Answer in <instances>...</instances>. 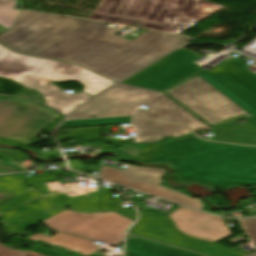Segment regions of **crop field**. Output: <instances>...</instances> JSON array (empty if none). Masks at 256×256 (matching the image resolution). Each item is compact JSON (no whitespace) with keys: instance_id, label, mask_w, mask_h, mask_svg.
<instances>
[{"instance_id":"1","label":"crop field","mask_w":256,"mask_h":256,"mask_svg":"<svg viewBox=\"0 0 256 256\" xmlns=\"http://www.w3.org/2000/svg\"><path fill=\"white\" fill-rule=\"evenodd\" d=\"M104 25L23 10L0 35V44L13 52L78 64L118 82L188 41L152 31L129 41L113 34L118 29Z\"/></svg>"},{"instance_id":"2","label":"crop field","mask_w":256,"mask_h":256,"mask_svg":"<svg viewBox=\"0 0 256 256\" xmlns=\"http://www.w3.org/2000/svg\"><path fill=\"white\" fill-rule=\"evenodd\" d=\"M151 160L178 167L183 177L180 181L208 182L217 187L256 184V148L181 138L166 142Z\"/></svg>"},{"instance_id":"3","label":"crop field","mask_w":256,"mask_h":256,"mask_svg":"<svg viewBox=\"0 0 256 256\" xmlns=\"http://www.w3.org/2000/svg\"><path fill=\"white\" fill-rule=\"evenodd\" d=\"M0 77L37 90L46 100L44 104L68 115L75 107L90 98L84 93L66 94L51 81H79L84 92L95 95L115 83L81 66L13 53L0 45Z\"/></svg>"},{"instance_id":"4","label":"crop field","mask_w":256,"mask_h":256,"mask_svg":"<svg viewBox=\"0 0 256 256\" xmlns=\"http://www.w3.org/2000/svg\"><path fill=\"white\" fill-rule=\"evenodd\" d=\"M165 93L212 129L240 118L256 125V109L204 70Z\"/></svg>"},{"instance_id":"5","label":"crop field","mask_w":256,"mask_h":256,"mask_svg":"<svg viewBox=\"0 0 256 256\" xmlns=\"http://www.w3.org/2000/svg\"><path fill=\"white\" fill-rule=\"evenodd\" d=\"M58 116L37 102L0 96V139L30 143Z\"/></svg>"},{"instance_id":"6","label":"crop field","mask_w":256,"mask_h":256,"mask_svg":"<svg viewBox=\"0 0 256 256\" xmlns=\"http://www.w3.org/2000/svg\"><path fill=\"white\" fill-rule=\"evenodd\" d=\"M199 58L185 49H179L122 83L162 92L200 70L193 63Z\"/></svg>"},{"instance_id":"7","label":"crop field","mask_w":256,"mask_h":256,"mask_svg":"<svg viewBox=\"0 0 256 256\" xmlns=\"http://www.w3.org/2000/svg\"><path fill=\"white\" fill-rule=\"evenodd\" d=\"M129 233L211 256H245L248 254L186 237L176 231L173 223L164 216L140 213L139 221L131 227Z\"/></svg>"},{"instance_id":"8","label":"crop field","mask_w":256,"mask_h":256,"mask_svg":"<svg viewBox=\"0 0 256 256\" xmlns=\"http://www.w3.org/2000/svg\"><path fill=\"white\" fill-rule=\"evenodd\" d=\"M159 93L160 92L119 83L83 105L79 110L74 112L69 119L128 115L139 104Z\"/></svg>"},{"instance_id":"9","label":"crop field","mask_w":256,"mask_h":256,"mask_svg":"<svg viewBox=\"0 0 256 256\" xmlns=\"http://www.w3.org/2000/svg\"><path fill=\"white\" fill-rule=\"evenodd\" d=\"M166 173L160 168H145L130 165L125 171L119 169L103 167L101 178L125 184L157 196L177 201L201 209L200 200L185 196L175 190H171L159 185Z\"/></svg>"},{"instance_id":"10","label":"crop field","mask_w":256,"mask_h":256,"mask_svg":"<svg viewBox=\"0 0 256 256\" xmlns=\"http://www.w3.org/2000/svg\"><path fill=\"white\" fill-rule=\"evenodd\" d=\"M181 233L212 243L231 237L223 218L180 207L169 215Z\"/></svg>"},{"instance_id":"11","label":"crop field","mask_w":256,"mask_h":256,"mask_svg":"<svg viewBox=\"0 0 256 256\" xmlns=\"http://www.w3.org/2000/svg\"><path fill=\"white\" fill-rule=\"evenodd\" d=\"M132 222L115 212L103 213L66 233L117 245Z\"/></svg>"},{"instance_id":"12","label":"crop field","mask_w":256,"mask_h":256,"mask_svg":"<svg viewBox=\"0 0 256 256\" xmlns=\"http://www.w3.org/2000/svg\"><path fill=\"white\" fill-rule=\"evenodd\" d=\"M243 61L233 58L209 73L256 107V73L244 65Z\"/></svg>"},{"instance_id":"13","label":"crop field","mask_w":256,"mask_h":256,"mask_svg":"<svg viewBox=\"0 0 256 256\" xmlns=\"http://www.w3.org/2000/svg\"><path fill=\"white\" fill-rule=\"evenodd\" d=\"M144 105L150 109L136 110L133 115L182 123L191 127L195 132L201 129L210 130L208 126L163 94Z\"/></svg>"},{"instance_id":"14","label":"crop field","mask_w":256,"mask_h":256,"mask_svg":"<svg viewBox=\"0 0 256 256\" xmlns=\"http://www.w3.org/2000/svg\"><path fill=\"white\" fill-rule=\"evenodd\" d=\"M132 125L139 129L136 142H157L162 137H180L190 133L184 126L160 121L133 118Z\"/></svg>"},{"instance_id":"15","label":"crop field","mask_w":256,"mask_h":256,"mask_svg":"<svg viewBox=\"0 0 256 256\" xmlns=\"http://www.w3.org/2000/svg\"><path fill=\"white\" fill-rule=\"evenodd\" d=\"M125 256H204L162 243L127 235Z\"/></svg>"},{"instance_id":"16","label":"crop field","mask_w":256,"mask_h":256,"mask_svg":"<svg viewBox=\"0 0 256 256\" xmlns=\"http://www.w3.org/2000/svg\"><path fill=\"white\" fill-rule=\"evenodd\" d=\"M213 133L222 142L256 146V128L248 123L214 130Z\"/></svg>"},{"instance_id":"17","label":"crop field","mask_w":256,"mask_h":256,"mask_svg":"<svg viewBox=\"0 0 256 256\" xmlns=\"http://www.w3.org/2000/svg\"><path fill=\"white\" fill-rule=\"evenodd\" d=\"M102 212L90 214V213H77L66 210L41 224L53 228L58 232H66L90 219L101 214Z\"/></svg>"},{"instance_id":"18","label":"crop field","mask_w":256,"mask_h":256,"mask_svg":"<svg viewBox=\"0 0 256 256\" xmlns=\"http://www.w3.org/2000/svg\"><path fill=\"white\" fill-rule=\"evenodd\" d=\"M44 242L65 247L66 250L80 252V256H89L99 247L98 245L91 244L92 241L61 233L55 234Z\"/></svg>"},{"instance_id":"19","label":"crop field","mask_w":256,"mask_h":256,"mask_svg":"<svg viewBox=\"0 0 256 256\" xmlns=\"http://www.w3.org/2000/svg\"><path fill=\"white\" fill-rule=\"evenodd\" d=\"M32 188L24 186L23 179L14 176H0V193L8 194L0 199V207L30 191Z\"/></svg>"},{"instance_id":"20","label":"crop field","mask_w":256,"mask_h":256,"mask_svg":"<svg viewBox=\"0 0 256 256\" xmlns=\"http://www.w3.org/2000/svg\"><path fill=\"white\" fill-rule=\"evenodd\" d=\"M129 119L130 117H114V118L88 119V120H79V121H65L59 128L129 123Z\"/></svg>"},{"instance_id":"21","label":"crop field","mask_w":256,"mask_h":256,"mask_svg":"<svg viewBox=\"0 0 256 256\" xmlns=\"http://www.w3.org/2000/svg\"><path fill=\"white\" fill-rule=\"evenodd\" d=\"M16 0H0V25L9 29L22 10L13 9Z\"/></svg>"},{"instance_id":"22","label":"crop field","mask_w":256,"mask_h":256,"mask_svg":"<svg viewBox=\"0 0 256 256\" xmlns=\"http://www.w3.org/2000/svg\"><path fill=\"white\" fill-rule=\"evenodd\" d=\"M28 183L30 185H33L37 187L38 189L48 193V194H53V193H60L62 191H55V192H50L45 184V182L49 181H58L56 178H54L52 175H47V176H38V177H29L26 178Z\"/></svg>"},{"instance_id":"23","label":"crop field","mask_w":256,"mask_h":256,"mask_svg":"<svg viewBox=\"0 0 256 256\" xmlns=\"http://www.w3.org/2000/svg\"><path fill=\"white\" fill-rule=\"evenodd\" d=\"M164 143L151 144L137 154L133 155L132 158L142 161H149L153 157V155L164 145Z\"/></svg>"},{"instance_id":"24","label":"crop field","mask_w":256,"mask_h":256,"mask_svg":"<svg viewBox=\"0 0 256 256\" xmlns=\"http://www.w3.org/2000/svg\"><path fill=\"white\" fill-rule=\"evenodd\" d=\"M33 194L36 196V198L39 200V202L42 204V206L46 209V211L48 212V214L51 216L65 210L63 208H57L53 205H51L50 203L47 202V196L41 194L40 192H38L37 190L33 189L32 190Z\"/></svg>"},{"instance_id":"25","label":"crop field","mask_w":256,"mask_h":256,"mask_svg":"<svg viewBox=\"0 0 256 256\" xmlns=\"http://www.w3.org/2000/svg\"><path fill=\"white\" fill-rule=\"evenodd\" d=\"M72 133L73 137L77 135H85L87 139H93L95 137H101V128L72 130Z\"/></svg>"},{"instance_id":"26","label":"crop field","mask_w":256,"mask_h":256,"mask_svg":"<svg viewBox=\"0 0 256 256\" xmlns=\"http://www.w3.org/2000/svg\"><path fill=\"white\" fill-rule=\"evenodd\" d=\"M246 231L256 245V218L241 219Z\"/></svg>"},{"instance_id":"27","label":"crop field","mask_w":256,"mask_h":256,"mask_svg":"<svg viewBox=\"0 0 256 256\" xmlns=\"http://www.w3.org/2000/svg\"><path fill=\"white\" fill-rule=\"evenodd\" d=\"M0 217L5 222L6 226L8 227L9 231L13 234H19L20 232L17 230V228L14 226L13 222L9 218L6 211L2 208H0Z\"/></svg>"},{"instance_id":"28","label":"crop field","mask_w":256,"mask_h":256,"mask_svg":"<svg viewBox=\"0 0 256 256\" xmlns=\"http://www.w3.org/2000/svg\"><path fill=\"white\" fill-rule=\"evenodd\" d=\"M52 203L58 206H70L71 204V197H68L66 194L57 195V196H50Z\"/></svg>"},{"instance_id":"29","label":"crop field","mask_w":256,"mask_h":256,"mask_svg":"<svg viewBox=\"0 0 256 256\" xmlns=\"http://www.w3.org/2000/svg\"><path fill=\"white\" fill-rule=\"evenodd\" d=\"M25 252L12 250L2 244H0V256H24Z\"/></svg>"},{"instance_id":"30","label":"crop field","mask_w":256,"mask_h":256,"mask_svg":"<svg viewBox=\"0 0 256 256\" xmlns=\"http://www.w3.org/2000/svg\"><path fill=\"white\" fill-rule=\"evenodd\" d=\"M16 171V168H14L13 166L5 165L2 163V160H0V173H12Z\"/></svg>"},{"instance_id":"31","label":"crop field","mask_w":256,"mask_h":256,"mask_svg":"<svg viewBox=\"0 0 256 256\" xmlns=\"http://www.w3.org/2000/svg\"><path fill=\"white\" fill-rule=\"evenodd\" d=\"M72 209L78 210V211H84V212H95V211H106L108 208H89V207H71Z\"/></svg>"},{"instance_id":"32","label":"crop field","mask_w":256,"mask_h":256,"mask_svg":"<svg viewBox=\"0 0 256 256\" xmlns=\"http://www.w3.org/2000/svg\"><path fill=\"white\" fill-rule=\"evenodd\" d=\"M71 162V168L74 169V170H77V171H80L83 173V165L80 161L78 160H73V161H70Z\"/></svg>"},{"instance_id":"33","label":"crop field","mask_w":256,"mask_h":256,"mask_svg":"<svg viewBox=\"0 0 256 256\" xmlns=\"http://www.w3.org/2000/svg\"><path fill=\"white\" fill-rule=\"evenodd\" d=\"M117 213H119V214H121V215H123V216H125V217H127V218H129V219H131V220H134L135 217H136L134 210L119 211V212H117Z\"/></svg>"},{"instance_id":"34","label":"crop field","mask_w":256,"mask_h":256,"mask_svg":"<svg viewBox=\"0 0 256 256\" xmlns=\"http://www.w3.org/2000/svg\"><path fill=\"white\" fill-rule=\"evenodd\" d=\"M47 238H49V237L42 235L40 233H37V234L31 236L30 238H28L27 240L43 241Z\"/></svg>"},{"instance_id":"35","label":"crop field","mask_w":256,"mask_h":256,"mask_svg":"<svg viewBox=\"0 0 256 256\" xmlns=\"http://www.w3.org/2000/svg\"><path fill=\"white\" fill-rule=\"evenodd\" d=\"M60 156L58 151L42 154V159Z\"/></svg>"},{"instance_id":"36","label":"crop field","mask_w":256,"mask_h":256,"mask_svg":"<svg viewBox=\"0 0 256 256\" xmlns=\"http://www.w3.org/2000/svg\"><path fill=\"white\" fill-rule=\"evenodd\" d=\"M0 143H6V144H11V145H28L26 143H19V142L6 141V140H0Z\"/></svg>"},{"instance_id":"37","label":"crop field","mask_w":256,"mask_h":256,"mask_svg":"<svg viewBox=\"0 0 256 256\" xmlns=\"http://www.w3.org/2000/svg\"><path fill=\"white\" fill-rule=\"evenodd\" d=\"M25 256H41L32 252H28Z\"/></svg>"},{"instance_id":"38","label":"crop field","mask_w":256,"mask_h":256,"mask_svg":"<svg viewBox=\"0 0 256 256\" xmlns=\"http://www.w3.org/2000/svg\"><path fill=\"white\" fill-rule=\"evenodd\" d=\"M247 256H256V253L255 254H251V255H247Z\"/></svg>"}]
</instances>
